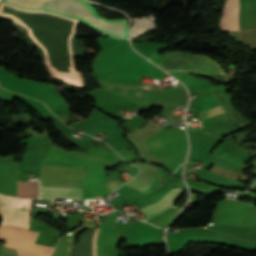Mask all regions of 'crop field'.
Segmentation results:
<instances>
[{
	"instance_id": "8a807250",
	"label": "crop field",
	"mask_w": 256,
	"mask_h": 256,
	"mask_svg": "<svg viewBox=\"0 0 256 256\" xmlns=\"http://www.w3.org/2000/svg\"><path fill=\"white\" fill-rule=\"evenodd\" d=\"M4 2L28 10H38L40 0H4ZM81 0H42L40 9L65 16H73L90 26L116 37H127L126 19L105 20L90 6Z\"/></svg>"
},
{
	"instance_id": "ac0d7876",
	"label": "crop field",
	"mask_w": 256,
	"mask_h": 256,
	"mask_svg": "<svg viewBox=\"0 0 256 256\" xmlns=\"http://www.w3.org/2000/svg\"><path fill=\"white\" fill-rule=\"evenodd\" d=\"M87 167L44 161L40 189H81ZM40 197L82 199L81 190H40Z\"/></svg>"
},
{
	"instance_id": "34b2d1b8",
	"label": "crop field",
	"mask_w": 256,
	"mask_h": 256,
	"mask_svg": "<svg viewBox=\"0 0 256 256\" xmlns=\"http://www.w3.org/2000/svg\"><path fill=\"white\" fill-rule=\"evenodd\" d=\"M184 192L185 190L181 188H173L158 203L138 209V211L147 215L143 218L146 221L176 204Z\"/></svg>"
},
{
	"instance_id": "412701ff",
	"label": "crop field",
	"mask_w": 256,
	"mask_h": 256,
	"mask_svg": "<svg viewBox=\"0 0 256 256\" xmlns=\"http://www.w3.org/2000/svg\"><path fill=\"white\" fill-rule=\"evenodd\" d=\"M238 9L239 0H227L225 12L221 22L222 29L239 30Z\"/></svg>"
},
{
	"instance_id": "f4fd0767",
	"label": "crop field",
	"mask_w": 256,
	"mask_h": 256,
	"mask_svg": "<svg viewBox=\"0 0 256 256\" xmlns=\"http://www.w3.org/2000/svg\"><path fill=\"white\" fill-rule=\"evenodd\" d=\"M154 21L153 19H148V20H134V27L132 29V36L131 39L150 30L154 29Z\"/></svg>"
},
{
	"instance_id": "dd49c442",
	"label": "crop field",
	"mask_w": 256,
	"mask_h": 256,
	"mask_svg": "<svg viewBox=\"0 0 256 256\" xmlns=\"http://www.w3.org/2000/svg\"><path fill=\"white\" fill-rule=\"evenodd\" d=\"M125 185H128L130 187H133L141 192L145 191L149 186L150 184L148 183H145L141 180H138L136 178L132 179L131 181L127 182Z\"/></svg>"
},
{
	"instance_id": "e52e79f7",
	"label": "crop field",
	"mask_w": 256,
	"mask_h": 256,
	"mask_svg": "<svg viewBox=\"0 0 256 256\" xmlns=\"http://www.w3.org/2000/svg\"><path fill=\"white\" fill-rule=\"evenodd\" d=\"M122 183V181L107 177L105 181L106 194L109 195L111 192H113L114 189H116Z\"/></svg>"
}]
</instances>
